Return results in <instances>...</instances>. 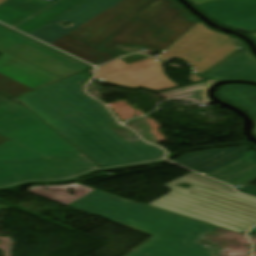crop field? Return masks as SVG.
Here are the masks:
<instances>
[{"instance_id": "obj_16", "label": "crop field", "mask_w": 256, "mask_h": 256, "mask_svg": "<svg viewBox=\"0 0 256 256\" xmlns=\"http://www.w3.org/2000/svg\"><path fill=\"white\" fill-rule=\"evenodd\" d=\"M240 54L241 52L239 51L236 54L232 55L208 73L206 72L207 74H203V77L208 78L210 80H220L227 78H242L256 80V76L237 68Z\"/></svg>"}, {"instance_id": "obj_15", "label": "crop field", "mask_w": 256, "mask_h": 256, "mask_svg": "<svg viewBox=\"0 0 256 256\" xmlns=\"http://www.w3.org/2000/svg\"><path fill=\"white\" fill-rule=\"evenodd\" d=\"M218 95L248 110L256 119V89L232 85L221 87Z\"/></svg>"}, {"instance_id": "obj_8", "label": "crop field", "mask_w": 256, "mask_h": 256, "mask_svg": "<svg viewBox=\"0 0 256 256\" xmlns=\"http://www.w3.org/2000/svg\"><path fill=\"white\" fill-rule=\"evenodd\" d=\"M162 62L143 55H130L98 69L96 79L137 88L156 91L177 87L164 74Z\"/></svg>"}, {"instance_id": "obj_11", "label": "crop field", "mask_w": 256, "mask_h": 256, "mask_svg": "<svg viewBox=\"0 0 256 256\" xmlns=\"http://www.w3.org/2000/svg\"><path fill=\"white\" fill-rule=\"evenodd\" d=\"M0 95L9 99L61 80L16 57L0 51Z\"/></svg>"}, {"instance_id": "obj_13", "label": "crop field", "mask_w": 256, "mask_h": 256, "mask_svg": "<svg viewBox=\"0 0 256 256\" xmlns=\"http://www.w3.org/2000/svg\"><path fill=\"white\" fill-rule=\"evenodd\" d=\"M248 150L246 146L208 149L188 153L174 161L207 175L243 157Z\"/></svg>"}, {"instance_id": "obj_20", "label": "crop field", "mask_w": 256, "mask_h": 256, "mask_svg": "<svg viewBox=\"0 0 256 256\" xmlns=\"http://www.w3.org/2000/svg\"><path fill=\"white\" fill-rule=\"evenodd\" d=\"M202 80H206L204 78H201V77H198L192 73H190V78H189V81L195 83V82H199V81H202Z\"/></svg>"}, {"instance_id": "obj_12", "label": "crop field", "mask_w": 256, "mask_h": 256, "mask_svg": "<svg viewBox=\"0 0 256 256\" xmlns=\"http://www.w3.org/2000/svg\"><path fill=\"white\" fill-rule=\"evenodd\" d=\"M225 26L256 29V0H192Z\"/></svg>"}, {"instance_id": "obj_14", "label": "crop field", "mask_w": 256, "mask_h": 256, "mask_svg": "<svg viewBox=\"0 0 256 256\" xmlns=\"http://www.w3.org/2000/svg\"><path fill=\"white\" fill-rule=\"evenodd\" d=\"M244 155V158L207 176L241 187L256 181V152L250 150Z\"/></svg>"}, {"instance_id": "obj_21", "label": "crop field", "mask_w": 256, "mask_h": 256, "mask_svg": "<svg viewBox=\"0 0 256 256\" xmlns=\"http://www.w3.org/2000/svg\"><path fill=\"white\" fill-rule=\"evenodd\" d=\"M11 102L10 100L0 96V106L5 105L7 103Z\"/></svg>"}, {"instance_id": "obj_10", "label": "crop field", "mask_w": 256, "mask_h": 256, "mask_svg": "<svg viewBox=\"0 0 256 256\" xmlns=\"http://www.w3.org/2000/svg\"><path fill=\"white\" fill-rule=\"evenodd\" d=\"M27 1L28 0H8L0 5V22L12 27L52 3L40 0ZM82 1L84 0H59L54 5L33 16L15 29L29 34Z\"/></svg>"}, {"instance_id": "obj_2", "label": "crop field", "mask_w": 256, "mask_h": 256, "mask_svg": "<svg viewBox=\"0 0 256 256\" xmlns=\"http://www.w3.org/2000/svg\"><path fill=\"white\" fill-rule=\"evenodd\" d=\"M87 78L83 72L16 99L104 167L161 158L163 150L142 141L130 143L108 127L107 110L83 92Z\"/></svg>"}, {"instance_id": "obj_3", "label": "crop field", "mask_w": 256, "mask_h": 256, "mask_svg": "<svg viewBox=\"0 0 256 256\" xmlns=\"http://www.w3.org/2000/svg\"><path fill=\"white\" fill-rule=\"evenodd\" d=\"M69 207L153 235L127 256H216L220 251L197 243L213 229L205 223L95 190Z\"/></svg>"}, {"instance_id": "obj_7", "label": "crop field", "mask_w": 256, "mask_h": 256, "mask_svg": "<svg viewBox=\"0 0 256 256\" xmlns=\"http://www.w3.org/2000/svg\"><path fill=\"white\" fill-rule=\"evenodd\" d=\"M0 50L62 79L90 68L2 26H0Z\"/></svg>"}, {"instance_id": "obj_5", "label": "crop field", "mask_w": 256, "mask_h": 256, "mask_svg": "<svg viewBox=\"0 0 256 256\" xmlns=\"http://www.w3.org/2000/svg\"><path fill=\"white\" fill-rule=\"evenodd\" d=\"M0 135L50 158L84 155L31 111L14 102L0 107Z\"/></svg>"}, {"instance_id": "obj_9", "label": "crop field", "mask_w": 256, "mask_h": 256, "mask_svg": "<svg viewBox=\"0 0 256 256\" xmlns=\"http://www.w3.org/2000/svg\"><path fill=\"white\" fill-rule=\"evenodd\" d=\"M98 168L86 156L0 162V186L28 179H63Z\"/></svg>"}, {"instance_id": "obj_23", "label": "crop field", "mask_w": 256, "mask_h": 256, "mask_svg": "<svg viewBox=\"0 0 256 256\" xmlns=\"http://www.w3.org/2000/svg\"><path fill=\"white\" fill-rule=\"evenodd\" d=\"M5 1H7V0H0V4L3 3V2H5Z\"/></svg>"}, {"instance_id": "obj_17", "label": "crop field", "mask_w": 256, "mask_h": 256, "mask_svg": "<svg viewBox=\"0 0 256 256\" xmlns=\"http://www.w3.org/2000/svg\"><path fill=\"white\" fill-rule=\"evenodd\" d=\"M46 156L13 141L0 145V161L40 159Z\"/></svg>"}, {"instance_id": "obj_25", "label": "crop field", "mask_w": 256, "mask_h": 256, "mask_svg": "<svg viewBox=\"0 0 256 256\" xmlns=\"http://www.w3.org/2000/svg\"><path fill=\"white\" fill-rule=\"evenodd\" d=\"M255 134H256V130H255Z\"/></svg>"}, {"instance_id": "obj_4", "label": "crop field", "mask_w": 256, "mask_h": 256, "mask_svg": "<svg viewBox=\"0 0 256 256\" xmlns=\"http://www.w3.org/2000/svg\"><path fill=\"white\" fill-rule=\"evenodd\" d=\"M176 183L194 187L185 189ZM162 187L172 191L148 205L239 233L256 224V200L227 186L190 173Z\"/></svg>"}, {"instance_id": "obj_22", "label": "crop field", "mask_w": 256, "mask_h": 256, "mask_svg": "<svg viewBox=\"0 0 256 256\" xmlns=\"http://www.w3.org/2000/svg\"><path fill=\"white\" fill-rule=\"evenodd\" d=\"M251 36L256 39V33L255 34H251Z\"/></svg>"}, {"instance_id": "obj_19", "label": "crop field", "mask_w": 256, "mask_h": 256, "mask_svg": "<svg viewBox=\"0 0 256 256\" xmlns=\"http://www.w3.org/2000/svg\"><path fill=\"white\" fill-rule=\"evenodd\" d=\"M239 191L256 196V187L251 185L245 188L239 189Z\"/></svg>"}, {"instance_id": "obj_24", "label": "crop field", "mask_w": 256, "mask_h": 256, "mask_svg": "<svg viewBox=\"0 0 256 256\" xmlns=\"http://www.w3.org/2000/svg\"><path fill=\"white\" fill-rule=\"evenodd\" d=\"M251 231H254V232H256V228H255V229H253V230H251Z\"/></svg>"}, {"instance_id": "obj_1", "label": "crop field", "mask_w": 256, "mask_h": 256, "mask_svg": "<svg viewBox=\"0 0 256 256\" xmlns=\"http://www.w3.org/2000/svg\"><path fill=\"white\" fill-rule=\"evenodd\" d=\"M50 22L29 35L98 65L115 58L116 44L160 53L199 21L173 0H85Z\"/></svg>"}, {"instance_id": "obj_18", "label": "crop field", "mask_w": 256, "mask_h": 256, "mask_svg": "<svg viewBox=\"0 0 256 256\" xmlns=\"http://www.w3.org/2000/svg\"><path fill=\"white\" fill-rule=\"evenodd\" d=\"M234 42L238 45V47L241 49L242 52L240 62H239V68L248 71L254 75H256V60H254L247 52L245 46L239 42L237 39L231 37ZM232 40V41H233Z\"/></svg>"}, {"instance_id": "obj_6", "label": "crop field", "mask_w": 256, "mask_h": 256, "mask_svg": "<svg viewBox=\"0 0 256 256\" xmlns=\"http://www.w3.org/2000/svg\"><path fill=\"white\" fill-rule=\"evenodd\" d=\"M237 50L239 48L229 36L212 32L199 22L157 59L167 62L180 58L193 67L192 72L201 75Z\"/></svg>"}]
</instances>
